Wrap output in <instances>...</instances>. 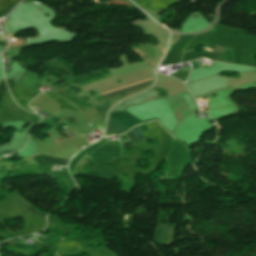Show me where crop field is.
<instances>
[{
	"label": "crop field",
	"instance_id": "8a807250",
	"mask_svg": "<svg viewBox=\"0 0 256 256\" xmlns=\"http://www.w3.org/2000/svg\"><path fill=\"white\" fill-rule=\"evenodd\" d=\"M166 48H164L162 45L158 44L156 46L151 45H143L140 44V48H134V51L139 53L141 57L147 55V59H145V62L147 65L151 68H156L158 63L160 62L161 58L163 57L165 53Z\"/></svg>",
	"mask_w": 256,
	"mask_h": 256
},
{
	"label": "crop field",
	"instance_id": "ac0d7876",
	"mask_svg": "<svg viewBox=\"0 0 256 256\" xmlns=\"http://www.w3.org/2000/svg\"><path fill=\"white\" fill-rule=\"evenodd\" d=\"M152 83V80L151 81H148V82H144V83H141V84H138V85H135V86H131V87H128V88H125V89H122V90H118V91H115V92H112V91H109V92H112V93H109V92H106V93H109V94H105V93H102V94H105V95H102L101 97L104 98V97H107V96H111V95H114V94H117V93H121V92H124V91H127V90H131V89H134V88H137V87H141V86H144V85H147V84H151ZM150 86V85H148ZM148 86H144V87H141V88H138V89H134V90H131V91H128V92H124V93H121V94H118V95H114V96H111V97H108V98H104L103 100L105 101L104 103H102L101 105H98V106H95L94 108L99 111L102 115H104V113L106 112L107 108L110 106V104L119 99L120 97L126 95V94H129V93H132L134 91H137L139 89H142V88H145V87H148Z\"/></svg>",
	"mask_w": 256,
	"mask_h": 256
},
{
	"label": "crop field",
	"instance_id": "34b2d1b8",
	"mask_svg": "<svg viewBox=\"0 0 256 256\" xmlns=\"http://www.w3.org/2000/svg\"><path fill=\"white\" fill-rule=\"evenodd\" d=\"M216 51H217V61L234 64L233 52L231 49H227V48L216 45ZM211 59L216 61L215 51Z\"/></svg>",
	"mask_w": 256,
	"mask_h": 256
},
{
	"label": "crop field",
	"instance_id": "412701ff",
	"mask_svg": "<svg viewBox=\"0 0 256 256\" xmlns=\"http://www.w3.org/2000/svg\"><path fill=\"white\" fill-rule=\"evenodd\" d=\"M33 158L39 165H63L66 166V159L48 157V156H41V155H33Z\"/></svg>",
	"mask_w": 256,
	"mask_h": 256
},
{
	"label": "crop field",
	"instance_id": "f4fd0767",
	"mask_svg": "<svg viewBox=\"0 0 256 256\" xmlns=\"http://www.w3.org/2000/svg\"><path fill=\"white\" fill-rule=\"evenodd\" d=\"M128 129L124 124L118 122L117 120L113 119L112 117L109 118V122H107V129L106 132L111 134H122L125 130Z\"/></svg>",
	"mask_w": 256,
	"mask_h": 256
},
{
	"label": "crop field",
	"instance_id": "dd49c442",
	"mask_svg": "<svg viewBox=\"0 0 256 256\" xmlns=\"http://www.w3.org/2000/svg\"><path fill=\"white\" fill-rule=\"evenodd\" d=\"M137 138L138 141H144L143 135L141 133V130L138 126L134 127L132 130H130ZM125 133L132 141H136L134 135L131 132Z\"/></svg>",
	"mask_w": 256,
	"mask_h": 256
},
{
	"label": "crop field",
	"instance_id": "e52e79f7",
	"mask_svg": "<svg viewBox=\"0 0 256 256\" xmlns=\"http://www.w3.org/2000/svg\"><path fill=\"white\" fill-rule=\"evenodd\" d=\"M91 157L89 155L84 156L80 162L78 163V165L76 166L75 172L74 173H79V171L81 170V167L90 159Z\"/></svg>",
	"mask_w": 256,
	"mask_h": 256
}]
</instances>
